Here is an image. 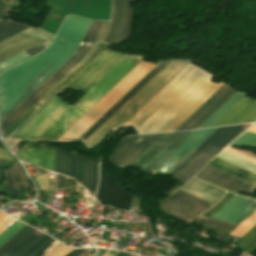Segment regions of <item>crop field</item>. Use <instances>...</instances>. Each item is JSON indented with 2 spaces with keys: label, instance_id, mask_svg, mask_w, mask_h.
<instances>
[{
  "label": "crop field",
  "instance_id": "5866460e",
  "mask_svg": "<svg viewBox=\"0 0 256 256\" xmlns=\"http://www.w3.org/2000/svg\"><path fill=\"white\" fill-rule=\"evenodd\" d=\"M23 226H24V224L17 221L8 230H6L2 235H0V246L3 245L9 238H11Z\"/></svg>",
  "mask_w": 256,
  "mask_h": 256
},
{
  "label": "crop field",
  "instance_id": "bc2a9ffb",
  "mask_svg": "<svg viewBox=\"0 0 256 256\" xmlns=\"http://www.w3.org/2000/svg\"><path fill=\"white\" fill-rule=\"evenodd\" d=\"M196 176L234 193H237L239 190L251 192L255 188L253 185L207 166H205Z\"/></svg>",
  "mask_w": 256,
  "mask_h": 256
},
{
  "label": "crop field",
  "instance_id": "730fd06b",
  "mask_svg": "<svg viewBox=\"0 0 256 256\" xmlns=\"http://www.w3.org/2000/svg\"><path fill=\"white\" fill-rule=\"evenodd\" d=\"M246 93L237 92L224 105H222L209 119H207L199 128L213 127L228 111H230Z\"/></svg>",
  "mask_w": 256,
  "mask_h": 256
},
{
  "label": "crop field",
  "instance_id": "dbb93151",
  "mask_svg": "<svg viewBox=\"0 0 256 256\" xmlns=\"http://www.w3.org/2000/svg\"><path fill=\"white\" fill-rule=\"evenodd\" d=\"M0 148H4V146L1 144V142H0ZM5 149V148H4Z\"/></svg>",
  "mask_w": 256,
  "mask_h": 256
},
{
  "label": "crop field",
  "instance_id": "00972430",
  "mask_svg": "<svg viewBox=\"0 0 256 256\" xmlns=\"http://www.w3.org/2000/svg\"><path fill=\"white\" fill-rule=\"evenodd\" d=\"M76 160L77 154L57 149L55 171L75 177Z\"/></svg>",
  "mask_w": 256,
  "mask_h": 256
},
{
  "label": "crop field",
  "instance_id": "28ad6ade",
  "mask_svg": "<svg viewBox=\"0 0 256 256\" xmlns=\"http://www.w3.org/2000/svg\"><path fill=\"white\" fill-rule=\"evenodd\" d=\"M123 2L124 0H113L111 26L103 41L105 43L117 44L128 38L134 19V12L130 6V2H136V0H125L124 17L120 27Z\"/></svg>",
  "mask_w": 256,
  "mask_h": 256
},
{
  "label": "crop field",
  "instance_id": "120bbe31",
  "mask_svg": "<svg viewBox=\"0 0 256 256\" xmlns=\"http://www.w3.org/2000/svg\"><path fill=\"white\" fill-rule=\"evenodd\" d=\"M230 145L231 146H235V145L256 146V134L245 131Z\"/></svg>",
  "mask_w": 256,
  "mask_h": 256
},
{
  "label": "crop field",
  "instance_id": "5142ce71",
  "mask_svg": "<svg viewBox=\"0 0 256 256\" xmlns=\"http://www.w3.org/2000/svg\"><path fill=\"white\" fill-rule=\"evenodd\" d=\"M56 148L46 144L37 145V141H28L15 155L24 162L53 170Z\"/></svg>",
  "mask_w": 256,
  "mask_h": 256
},
{
  "label": "crop field",
  "instance_id": "dd49c442",
  "mask_svg": "<svg viewBox=\"0 0 256 256\" xmlns=\"http://www.w3.org/2000/svg\"><path fill=\"white\" fill-rule=\"evenodd\" d=\"M153 67L140 63L60 138H78Z\"/></svg>",
  "mask_w": 256,
  "mask_h": 256
},
{
  "label": "crop field",
  "instance_id": "dafd665d",
  "mask_svg": "<svg viewBox=\"0 0 256 256\" xmlns=\"http://www.w3.org/2000/svg\"><path fill=\"white\" fill-rule=\"evenodd\" d=\"M207 166L256 186V174L215 157Z\"/></svg>",
  "mask_w": 256,
  "mask_h": 256
},
{
  "label": "crop field",
  "instance_id": "0bd39190",
  "mask_svg": "<svg viewBox=\"0 0 256 256\" xmlns=\"http://www.w3.org/2000/svg\"><path fill=\"white\" fill-rule=\"evenodd\" d=\"M25 57H27V55H26L25 52H23V53H21V54L15 56V57H13V58L7 60V61L1 63V69H3V68H5V67H7V66H9V65H11V64H13V63H15V62H17V61H19V60H21V59H23V58H25Z\"/></svg>",
  "mask_w": 256,
  "mask_h": 256
},
{
  "label": "crop field",
  "instance_id": "e1f06a70",
  "mask_svg": "<svg viewBox=\"0 0 256 256\" xmlns=\"http://www.w3.org/2000/svg\"><path fill=\"white\" fill-rule=\"evenodd\" d=\"M22 186L24 189H30V186H29V182L27 180V178L25 177V175L23 174V172L21 171V169L19 168L18 164L15 163V165L13 166Z\"/></svg>",
  "mask_w": 256,
  "mask_h": 256
},
{
  "label": "crop field",
  "instance_id": "4a817a6b",
  "mask_svg": "<svg viewBox=\"0 0 256 256\" xmlns=\"http://www.w3.org/2000/svg\"><path fill=\"white\" fill-rule=\"evenodd\" d=\"M217 128L197 130L187 141H185L165 162L154 172L168 174L186 156H188L198 145H200Z\"/></svg>",
  "mask_w": 256,
  "mask_h": 256
},
{
  "label": "crop field",
  "instance_id": "d32e631a",
  "mask_svg": "<svg viewBox=\"0 0 256 256\" xmlns=\"http://www.w3.org/2000/svg\"><path fill=\"white\" fill-rule=\"evenodd\" d=\"M51 238L47 235H43L39 240H37L31 247H29L20 256H32L36 251H38L42 246H44Z\"/></svg>",
  "mask_w": 256,
  "mask_h": 256
},
{
  "label": "crop field",
  "instance_id": "0fb4a251",
  "mask_svg": "<svg viewBox=\"0 0 256 256\" xmlns=\"http://www.w3.org/2000/svg\"><path fill=\"white\" fill-rule=\"evenodd\" d=\"M1 1L9 3V0H1Z\"/></svg>",
  "mask_w": 256,
  "mask_h": 256
},
{
  "label": "crop field",
  "instance_id": "c035e120",
  "mask_svg": "<svg viewBox=\"0 0 256 256\" xmlns=\"http://www.w3.org/2000/svg\"><path fill=\"white\" fill-rule=\"evenodd\" d=\"M0 159L14 162V158L9 154L7 150L0 149Z\"/></svg>",
  "mask_w": 256,
  "mask_h": 256
},
{
  "label": "crop field",
  "instance_id": "1d83c4d3",
  "mask_svg": "<svg viewBox=\"0 0 256 256\" xmlns=\"http://www.w3.org/2000/svg\"><path fill=\"white\" fill-rule=\"evenodd\" d=\"M256 224V211L241 222L236 229H234L229 235L241 238L246 232H248Z\"/></svg>",
  "mask_w": 256,
  "mask_h": 256
},
{
  "label": "crop field",
  "instance_id": "3316defc",
  "mask_svg": "<svg viewBox=\"0 0 256 256\" xmlns=\"http://www.w3.org/2000/svg\"><path fill=\"white\" fill-rule=\"evenodd\" d=\"M52 38L53 36L31 27L0 43V62Z\"/></svg>",
  "mask_w": 256,
  "mask_h": 256
},
{
  "label": "crop field",
  "instance_id": "425ffa30",
  "mask_svg": "<svg viewBox=\"0 0 256 256\" xmlns=\"http://www.w3.org/2000/svg\"><path fill=\"white\" fill-rule=\"evenodd\" d=\"M85 250L87 249H83V250H73L71 251L69 254H67L66 256H79L81 253H83Z\"/></svg>",
  "mask_w": 256,
  "mask_h": 256
},
{
  "label": "crop field",
  "instance_id": "4177f3b9",
  "mask_svg": "<svg viewBox=\"0 0 256 256\" xmlns=\"http://www.w3.org/2000/svg\"><path fill=\"white\" fill-rule=\"evenodd\" d=\"M159 209L163 212L168 213L169 215L180 219L188 224L193 220L197 213L192 212L188 209L175 205L166 200H162L159 204Z\"/></svg>",
  "mask_w": 256,
  "mask_h": 256
},
{
  "label": "crop field",
  "instance_id": "a9b5d70f",
  "mask_svg": "<svg viewBox=\"0 0 256 256\" xmlns=\"http://www.w3.org/2000/svg\"><path fill=\"white\" fill-rule=\"evenodd\" d=\"M97 184L96 161L86 156H82V185L92 192H95Z\"/></svg>",
  "mask_w": 256,
  "mask_h": 256
},
{
  "label": "crop field",
  "instance_id": "d1516ede",
  "mask_svg": "<svg viewBox=\"0 0 256 256\" xmlns=\"http://www.w3.org/2000/svg\"><path fill=\"white\" fill-rule=\"evenodd\" d=\"M162 135L163 134L125 138L115 150L114 155L110 158L111 162L119 167L130 165Z\"/></svg>",
  "mask_w": 256,
  "mask_h": 256
},
{
  "label": "crop field",
  "instance_id": "e52e79f7",
  "mask_svg": "<svg viewBox=\"0 0 256 256\" xmlns=\"http://www.w3.org/2000/svg\"><path fill=\"white\" fill-rule=\"evenodd\" d=\"M71 106L55 96L11 138L37 139Z\"/></svg>",
  "mask_w": 256,
  "mask_h": 256
},
{
  "label": "crop field",
  "instance_id": "73cf0c24",
  "mask_svg": "<svg viewBox=\"0 0 256 256\" xmlns=\"http://www.w3.org/2000/svg\"><path fill=\"white\" fill-rule=\"evenodd\" d=\"M247 130L252 131V132H256V123L253 124L250 128H248Z\"/></svg>",
  "mask_w": 256,
  "mask_h": 256
},
{
  "label": "crop field",
  "instance_id": "34b2d1b8",
  "mask_svg": "<svg viewBox=\"0 0 256 256\" xmlns=\"http://www.w3.org/2000/svg\"><path fill=\"white\" fill-rule=\"evenodd\" d=\"M189 62V60H172L152 81H150L142 90L131 98L123 107H121L85 142L90 146H96V144L111 128L122 125L132 117Z\"/></svg>",
  "mask_w": 256,
  "mask_h": 256
},
{
  "label": "crop field",
  "instance_id": "028f5c9d",
  "mask_svg": "<svg viewBox=\"0 0 256 256\" xmlns=\"http://www.w3.org/2000/svg\"><path fill=\"white\" fill-rule=\"evenodd\" d=\"M203 224H207V225H210L212 227L219 228V229H222V230H226V231H229V232L232 229L235 228V225L227 224V223H224V222H220V221H216V220H212V219H208V218H206V220L203 222Z\"/></svg>",
  "mask_w": 256,
  "mask_h": 256
},
{
  "label": "crop field",
  "instance_id": "ae1a2a85",
  "mask_svg": "<svg viewBox=\"0 0 256 256\" xmlns=\"http://www.w3.org/2000/svg\"><path fill=\"white\" fill-rule=\"evenodd\" d=\"M30 26L3 20L0 22V41L28 28Z\"/></svg>",
  "mask_w": 256,
  "mask_h": 256
},
{
  "label": "crop field",
  "instance_id": "d8731c3e",
  "mask_svg": "<svg viewBox=\"0 0 256 256\" xmlns=\"http://www.w3.org/2000/svg\"><path fill=\"white\" fill-rule=\"evenodd\" d=\"M125 56L126 54L113 51L101 52L66 86L86 93Z\"/></svg>",
  "mask_w": 256,
  "mask_h": 256
},
{
  "label": "crop field",
  "instance_id": "d3111659",
  "mask_svg": "<svg viewBox=\"0 0 256 256\" xmlns=\"http://www.w3.org/2000/svg\"><path fill=\"white\" fill-rule=\"evenodd\" d=\"M33 228L25 225L11 239H9L2 247H0V256L6 254L13 246H15L22 238L30 233Z\"/></svg>",
  "mask_w": 256,
  "mask_h": 256
},
{
  "label": "crop field",
  "instance_id": "cbeb9de0",
  "mask_svg": "<svg viewBox=\"0 0 256 256\" xmlns=\"http://www.w3.org/2000/svg\"><path fill=\"white\" fill-rule=\"evenodd\" d=\"M256 208V199L234 195L231 201L210 218L237 225Z\"/></svg>",
  "mask_w": 256,
  "mask_h": 256
},
{
  "label": "crop field",
  "instance_id": "1d79db26",
  "mask_svg": "<svg viewBox=\"0 0 256 256\" xmlns=\"http://www.w3.org/2000/svg\"><path fill=\"white\" fill-rule=\"evenodd\" d=\"M3 231V229L0 228V233Z\"/></svg>",
  "mask_w": 256,
  "mask_h": 256
},
{
  "label": "crop field",
  "instance_id": "8a807250",
  "mask_svg": "<svg viewBox=\"0 0 256 256\" xmlns=\"http://www.w3.org/2000/svg\"><path fill=\"white\" fill-rule=\"evenodd\" d=\"M90 20L68 16L52 44L43 52L0 75L1 121L64 63L79 45Z\"/></svg>",
  "mask_w": 256,
  "mask_h": 256
},
{
  "label": "crop field",
  "instance_id": "c21b1889",
  "mask_svg": "<svg viewBox=\"0 0 256 256\" xmlns=\"http://www.w3.org/2000/svg\"><path fill=\"white\" fill-rule=\"evenodd\" d=\"M11 11L4 3L0 2V20Z\"/></svg>",
  "mask_w": 256,
  "mask_h": 256
},
{
  "label": "crop field",
  "instance_id": "d23c7cc5",
  "mask_svg": "<svg viewBox=\"0 0 256 256\" xmlns=\"http://www.w3.org/2000/svg\"><path fill=\"white\" fill-rule=\"evenodd\" d=\"M12 162L0 160V169L1 168H10L12 166Z\"/></svg>",
  "mask_w": 256,
  "mask_h": 256
},
{
  "label": "crop field",
  "instance_id": "447ae74e",
  "mask_svg": "<svg viewBox=\"0 0 256 256\" xmlns=\"http://www.w3.org/2000/svg\"><path fill=\"white\" fill-rule=\"evenodd\" d=\"M132 256H134V255H132Z\"/></svg>",
  "mask_w": 256,
  "mask_h": 256
},
{
  "label": "crop field",
  "instance_id": "b80d0937",
  "mask_svg": "<svg viewBox=\"0 0 256 256\" xmlns=\"http://www.w3.org/2000/svg\"><path fill=\"white\" fill-rule=\"evenodd\" d=\"M70 251H71V249H67L66 247H64L62 245L55 252H53L51 255H53V256H65Z\"/></svg>",
  "mask_w": 256,
  "mask_h": 256
},
{
  "label": "crop field",
  "instance_id": "92a150f3",
  "mask_svg": "<svg viewBox=\"0 0 256 256\" xmlns=\"http://www.w3.org/2000/svg\"><path fill=\"white\" fill-rule=\"evenodd\" d=\"M181 190L206 200L212 204L216 203L225 193V191L199 181L195 178H193L187 185L181 188Z\"/></svg>",
  "mask_w": 256,
  "mask_h": 256
},
{
  "label": "crop field",
  "instance_id": "412701ff",
  "mask_svg": "<svg viewBox=\"0 0 256 256\" xmlns=\"http://www.w3.org/2000/svg\"><path fill=\"white\" fill-rule=\"evenodd\" d=\"M101 24V21L91 22L80 46L72 54V56L1 122L2 133L81 60L83 55L90 47Z\"/></svg>",
  "mask_w": 256,
  "mask_h": 256
},
{
  "label": "crop field",
  "instance_id": "750c4746",
  "mask_svg": "<svg viewBox=\"0 0 256 256\" xmlns=\"http://www.w3.org/2000/svg\"><path fill=\"white\" fill-rule=\"evenodd\" d=\"M33 231H35V229ZM32 232L27 237H25L19 244H17L11 251H9L5 256H19L30 245H32L39 238V236L33 234Z\"/></svg>",
  "mask_w": 256,
  "mask_h": 256
},
{
  "label": "crop field",
  "instance_id": "d9b57169",
  "mask_svg": "<svg viewBox=\"0 0 256 256\" xmlns=\"http://www.w3.org/2000/svg\"><path fill=\"white\" fill-rule=\"evenodd\" d=\"M96 198L112 207L128 210L133 197L114 184L100 168V183Z\"/></svg>",
  "mask_w": 256,
  "mask_h": 256
},
{
  "label": "crop field",
  "instance_id": "5d738f31",
  "mask_svg": "<svg viewBox=\"0 0 256 256\" xmlns=\"http://www.w3.org/2000/svg\"><path fill=\"white\" fill-rule=\"evenodd\" d=\"M55 240H51L49 243H47L40 251H38L34 256H41L44 252L45 249H47L51 244H53Z\"/></svg>",
  "mask_w": 256,
  "mask_h": 256
},
{
  "label": "crop field",
  "instance_id": "733c2abd",
  "mask_svg": "<svg viewBox=\"0 0 256 256\" xmlns=\"http://www.w3.org/2000/svg\"><path fill=\"white\" fill-rule=\"evenodd\" d=\"M159 62L146 76H144L133 88H131L117 103H115L101 118H99L85 133L78 139L87 140L100 126L103 125L122 105H124L138 90L144 87L155 77L169 62Z\"/></svg>",
  "mask_w": 256,
  "mask_h": 256
},
{
  "label": "crop field",
  "instance_id": "22f410ed",
  "mask_svg": "<svg viewBox=\"0 0 256 256\" xmlns=\"http://www.w3.org/2000/svg\"><path fill=\"white\" fill-rule=\"evenodd\" d=\"M234 92L235 90L231 89L228 85L224 84L174 131L196 129Z\"/></svg>",
  "mask_w": 256,
  "mask_h": 256
},
{
  "label": "crop field",
  "instance_id": "5a996713",
  "mask_svg": "<svg viewBox=\"0 0 256 256\" xmlns=\"http://www.w3.org/2000/svg\"><path fill=\"white\" fill-rule=\"evenodd\" d=\"M194 132L195 131L164 134L134 161L131 166L152 172Z\"/></svg>",
  "mask_w": 256,
  "mask_h": 256
},
{
  "label": "crop field",
  "instance_id": "1f2cbd36",
  "mask_svg": "<svg viewBox=\"0 0 256 256\" xmlns=\"http://www.w3.org/2000/svg\"><path fill=\"white\" fill-rule=\"evenodd\" d=\"M5 217H6V215L0 213V221H1L2 219H4Z\"/></svg>",
  "mask_w": 256,
  "mask_h": 256
},
{
  "label": "crop field",
  "instance_id": "9d1cf04e",
  "mask_svg": "<svg viewBox=\"0 0 256 256\" xmlns=\"http://www.w3.org/2000/svg\"><path fill=\"white\" fill-rule=\"evenodd\" d=\"M90 256H94V255L92 254V255H90Z\"/></svg>",
  "mask_w": 256,
  "mask_h": 256
},
{
  "label": "crop field",
  "instance_id": "bd1437ed",
  "mask_svg": "<svg viewBox=\"0 0 256 256\" xmlns=\"http://www.w3.org/2000/svg\"><path fill=\"white\" fill-rule=\"evenodd\" d=\"M1 189H3V190L7 189V190H9V192H11L17 196L22 195L20 188L18 186V183L16 181V178L14 176V173L11 168L5 170V182Z\"/></svg>",
  "mask_w": 256,
  "mask_h": 256
},
{
  "label": "crop field",
  "instance_id": "ac0d7876",
  "mask_svg": "<svg viewBox=\"0 0 256 256\" xmlns=\"http://www.w3.org/2000/svg\"><path fill=\"white\" fill-rule=\"evenodd\" d=\"M143 57L127 55L38 139H58L99 99L117 84Z\"/></svg>",
  "mask_w": 256,
  "mask_h": 256
},
{
  "label": "crop field",
  "instance_id": "eef30255",
  "mask_svg": "<svg viewBox=\"0 0 256 256\" xmlns=\"http://www.w3.org/2000/svg\"><path fill=\"white\" fill-rule=\"evenodd\" d=\"M187 194V193H186ZM180 191H178L177 193H175L174 195L168 197L167 199L176 202L180 205H183L189 209H192L198 213L204 211L205 209H207L208 207H210L211 205L202 202L198 199H195L189 195H186Z\"/></svg>",
  "mask_w": 256,
  "mask_h": 256
},
{
  "label": "crop field",
  "instance_id": "f4fd0767",
  "mask_svg": "<svg viewBox=\"0 0 256 256\" xmlns=\"http://www.w3.org/2000/svg\"><path fill=\"white\" fill-rule=\"evenodd\" d=\"M246 125L218 128L169 174L186 182Z\"/></svg>",
  "mask_w": 256,
  "mask_h": 256
},
{
  "label": "crop field",
  "instance_id": "89e229c0",
  "mask_svg": "<svg viewBox=\"0 0 256 256\" xmlns=\"http://www.w3.org/2000/svg\"><path fill=\"white\" fill-rule=\"evenodd\" d=\"M115 256H130V255H127V254H125V253H121V252H119L118 254H116Z\"/></svg>",
  "mask_w": 256,
  "mask_h": 256
},
{
  "label": "crop field",
  "instance_id": "25e5ab78",
  "mask_svg": "<svg viewBox=\"0 0 256 256\" xmlns=\"http://www.w3.org/2000/svg\"><path fill=\"white\" fill-rule=\"evenodd\" d=\"M42 49L43 48L35 47V48L31 49V50L26 51V53H27L28 56H30V55H32V54H34V53H36V52H38V51H40Z\"/></svg>",
  "mask_w": 256,
  "mask_h": 256
},
{
  "label": "crop field",
  "instance_id": "214f88e0",
  "mask_svg": "<svg viewBox=\"0 0 256 256\" xmlns=\"http://www.w3.org/2000/svg\"><path fill=\"white\" fill-rule=\"evenodd\" d=\"M256 118V100L244 97L214 127L252 122Z\"/></svg>",
  "mask_w": 256,
  "mask_h": 256
},
{
  "label": "crop field",
  "instance_id": "b54c1fbb",
  "mask_svg": "<svg viewBox=\"0 0 256 256\" xmlns=\"http://www.w3.org/2000/svg\"><path fill=\"white\" fill-rule=\"evenodd\" d=\"M56 176H57V179H58L57 188L63 189L64 183H65V177L60 176V175H58V174H56Z\"/></svg>",
  "mask_w": 256,
  "mask_h": 256
},
{
  "label": "crop field",
  "instance_id": "03da06ac",
  "mask_svg": "<svg viewBox=\"0 0 256 256\" xmlns=\"http://www.w3.org/2000/svg\"><path fill=\"white\" fill-rule=\"evenodd\" d=\"M76 181H81V155L78 154V165H77V178Z\"/></svg>",
  "mask_w": 256,
  "mask_h": 256
}]
</instances>
